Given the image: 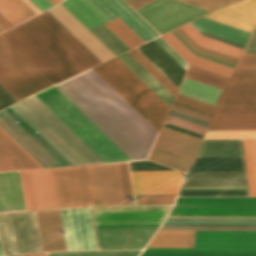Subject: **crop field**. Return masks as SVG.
<instances>
[{
	"mask_svg": "<svg viewBox=\"0 0 256 256\" xmlns=\"http://www.w3.org/2000/svg\"><path fill=\"white\" fill-rule=\"evenodd\" d=\"M54 84L101 61L47 11L2 33ZM0 34V85L17 101L54 85Z\"/></svg>",
	"mask_w": 256,
	"mask_h": 256,
	"instance_id": "1",
	"label": "crop field"
},
{
	"mask_svg": "<svg viewBox=\"0 0 256 256\" xmlns=\"http://www.w3.org/2000/svg\"><path fill=\"white\" fill-rule=\"evenodd\" d=\"M55 88L132 161L148 158L159 132L93 69Z\"/></svg>",
	"mask_w": 256,
	"mask_h": 256,
	"instance_id": "2",
	"label": "crop field"
},
{
	"mask_svg": "<svg viewBox=\"0 0 256 256\" xmlns=\"http://www.w3.org/2000/svg\"><path fill=\"white\" fill-rule=\"evenodd\" d=\"M0 126L43 167L104 163L34 96L0 111Z\"/></svg>",
	"mask_w": 256,
	"mask_h": 256,
	"instance_id": "3",
	"label": "crop field"
},
{
	"mask_svg": "<svg viewBox=\"0 0 256 256\" xmlns=\"http://www.w3.org/2000/svg\"><path fill=\"white\" fill-rule=\"evenodd\" d=\"M19 173L26 211L99 205L92 165Z\"/></svg>",
	"mask_w": 256,
	"mask_h": 256,
	"instance_id": "4",
	"label": "crop field"
},
{
	"mask_svg": "<svg viewBox=\"0 0 256 256\" xmlns=\"http://www.w3.org/2000/svg\"><path fill=\"white\" fill-rule=\"evenodd\" d=\"M256 129V70H235L221 93L207 130Z\"/></svg>",
	"mask_w": 256,
	"mask_h": 256,
	"instance_id": "5",
	"label": "crop field"
},
{
	"mask_svg": "<svg viewBox=\"0 0 256 256\" xmlns=\"http://www.w3.org/2000/svg\"><path fill=\"white\" fill-rule=\"evenodd\" d=\"M93 69L160 131L170 107L117 57Z\"/></svg>",
	"mask_w": 256,
	"mask_h": 256,
	"instance_id": "6",
	"label": "crop field"
},
{
	"mask_svg": "<svg viewBox=\"0 0 256 256\" xmlns=\"http://www.w3.org/2000/svg\"><path fill=\"white\" fill-rule=\"evenodd\" d=\"M35 97L105 163L131 161L54 87Z\"/></svg>",
	"mask_w": 256,
	"mask_h": 256,
	"instance_id": "7",
	"label": "crop field"
},
{
	"mask_svg": "<svg viewBox=\"0 0 256 256\" xmlns=\"http://www.w3.org/2000/svg\"><path fill=\"white\" fill-rule=\"evenodd\" d=\"M139 256H256V231H194L193 248H144Z\"/></svg>",
	"mask_w": 256,
	"mask_h": 256,
	"instance_id": "8",
	"label": "crop field"
},
{
	"mask_svg": "<svg viewBox=\"0 0 256 256\" xmlns=\"http://www.w3.org/2000/svg\"><path fill=\"white\" fill-rule=\"evenodd\" d=\"M60 4L88 30L108 22V20L87 0H65ZM60 4L47 11L102 62L114 57V55L106 47H104Z\"/></svg>",
	"mask_w": 256,
	"mask_h": 256,
	"instance_id": "9",
	"label": "crop field"
},
{
	"mask_svg": "<svg viewBox=\"0 0 256 256\" xmlns=\"http://www.w3.org/2000/svg\"><path fill=\"white\" fill-rule=\"evenodd\" d=\"M0 243L3 255L42 252L35 212L1 214Z\"/></svg>",
	"mask_w": 256,
	"mask_h": 256,
	"instance_id": "10",
	"label": "crop field"
},
{
	"mask_svg": "<svg viewBox=\"0 0 256 256\" xmlns=\"http://www.w3.org/2000/svg\"><path fill=\"white\" fill-rule=\"evenodd\" d=\"M135 11L160 35L208 12L176 0H156Z\"/></svg>",
	"mask_w": 256,
	"mask_h": 256,
	"instance_id": "11",
	"label": "crop field"
},
{
	"mask_svg": "<svg viewBox=\"0 0 256 256\" xmlns=\"http://www.w3.org/2000/svg\"><path fill=\"white\" fill-rule=\"evenodd\" d=\"M118 165L125 205H135L127 162ZM93 167L100 205H124L117 163Z\"/></svg>",
	"mask_w": 256,
	"mask_h": 256,
	"instance_id": "12",
	"label": "crop field"
},
{
	"mask_svg": "<svg viewBox=\"0 0 256 256\" xmlns=\"http://www.w3.org/2000/svg\"><path fill=\"white\" fill-rule=\"evenodd\" d=\"M172 205L91 207L94 225L162 224Z\"/></svg>",
	"mask_w": 256,
	"mask_h": 256,
	"instance_id": "13",
	"label": "crop field"
},
{
	"mask_svg": "<svg viewBox=\"0 0 256 256\" xmlns=\"http://www.w3.org/2000/svg\"><path fill=\"white\" fill-rule=\"evenodd\" d=\"M160 225L94 226L98 250L143 249Z\"/></svg>",
	"mask_w": 256,
	"mask_h": 256,
	"instance_id": "14",
	"label": "crop field"
},
{
	"mask_svg": "<svg viewBox=\"0 0 256 256\" xmlns=\"http://www.w3.org/2000/svg\"><path fill=\"white\" fill-rule=\"evenodd\" d=\"M200 140L162 128L148 160L184 172L194 159ZM155 147L191 159V162L154 150Z\"/></svg>",
	"mask_w": 256,
	"mask_h": 256,
	"instance_id": "15",
	"label": "crop field"
},
{
	"mask_svg": "<svg viewBox=\"0 0 256 256\" xmlns=\"http://www.w3.org/2000/svg\"><path fill=\"white\" fill-rule=\"evenodd\" d=\"M59 212L66 250H96L89 207Z\"/></svg>",
	"mask_w": 256,
	"mask_h": 256,
	"instance_id": "16",
	"label": "crop field"
},
{
	"mask_svg": "<svg viewBox=\"0 0 256 256\" xmlns=\"http://www.w3.org/2000/svg\"><path fill=\"white\" fill-rule=\"evenodd\" d=\"M160 230H256V219L166 218Z\"/></svg>",
	"mask_w": 256,
	"mask_h": 256,
	"instance_id": "17",
	"label": "crop field"
},
{
	"mask_svg": "<svg viewBox=\"0 0 256 256\" xmlns=\"http://www.w3.org/2000/svg\"><path fill=\"white\" fill-rule=\"evenodd\" d=\"M109 21L119 17L145 42L159 36L123 0H88Z\"/></svg>",
	"mask_w": 256,
	"mask_h": 256,
	"instance_id": "18",
	"label": "crop field"
},
{
	"mask_svg": "<svg viewBox=\"0 0 256 256\" xmlns=\"http://www.w3.org/2000/svg\"><path fill=\"white\" fill-rule=\"evenodd\" d=\"M134 194L176 193L183 173L178 171L130 172Z\"/></svg>",
	"mask_w": 256,
	"mask_h": 256,
	"instance_id": "19",
	"label": "crop field"
},
{
	"mask_svg": "<svg viewBox=\"0 0 256 256\" xmlns=\"http://www.w3.org/2000/svg\"><path fill=\"white\" fill-rule=\"evenodd\" d=\"M204 17L250 32L253 25H256V0H242L214 10Z\"/></svg>",
	"mask_w": 256,
	"mask_h": 256,
	"instance_id": "20",
	"label": "crop field"
},
{
	"mask_svg": "<svg viewBox=\"0 0 256 256\" xmlns=\"http://www.w3.org/2000/svg\"><path fill=\"white\" fill-rule=\"evenodd\" d=\"M137 49L145 57H147L167 78H169L177 87H179L186 70L180 66L163 48L152 40L137 47Z\"/></svg>",
	"mask_w": 256,
	"mask_h": 256,
	"instance_id": "21",
	"label": "crop field"
},
{
	"mask_svg": "<svg viewBox=\"0 0 256 256\" xmlns=\"http://www.w3.org/2000/svg\"><path fill=\"white\" fill-rule=\"evenodd\" d=\"M181 186H248L245 171L187 172Z\"/></svg>",
	"mask_w": 256,
	"mask_h": 256,
	"instance_id": "22",
	"label": "crop field"
},
{
	"mask_svg": "<svg viewBox=\"0 0 256 256\" xmlns=\"http://www.w3.org/2000/svg\"><path fill=\"white\" fill-rule=\"evenodd\" d=\"M0 130L12 142H14L30 159H32L40 168H42V166L38 162H36L24 149H22L10 136H8L1 128ZM1 131L0 171L39 168Z\"/></svg>",
	"mask_w": 256,
	"mask_h": 256,
	"instance_id": "23",
	"label": "crop field"
},
{
	"mask_svg": "<svg viewBox=\"0 0 256 256\" xmlns=\"http://www.w3.org/2000/svg\"><path fill=\"white\" fill-rule=\"evenodd\" d=\"M42 250H65L58 210L36 212Z\"/></svg>",
	"mask_w": 256,
	"mask_h": 256,
	"instance_id": "24",
	"label": "crop field"
},
{
	"mask_svg": "<svg viewBox=\"0 0 256 256\" xmlns=\"http://www.w3.org/2000/svg\"><path fill=\"white\" fill-rule=\"evenodd\" d=\"M14 204V205H9ZM25 211L18 171L0 172V213Z\"/></svg>",
	"mask_w": 256,
	"mask_h": 256,
	"instance_id": "25",
	"label": "crop field"
},
{
	"mask_svg": "<svg viewBox=\"0 0 256 256\" xmlns=\"http://www.w3.org/2000/svg\"><path fill=\"white\" fill-rule=\"evenodd\" d=\"M168 217L256 218V208H172Z\"/></svg>",
	"mask_w": 256,
	"mask_h": 256,
	"instance_id": "26",
	"label": "crop field"
},
{
	"mask_svg": "<svg viewBox=\"0 0 256 256\" xmlns=\"http://www.w3.org/2000/svg\"><path fill=\"white\" fill-rule=\"evenodd\" d=\"M168 43L182 58L190 65L210 71L212 73L229 78L233 68L215 63L213 61L193 55L183 44H181L170 32L160 36Z\"/></svg>",
	"mask_w": 256,
	"mask_h": 256,
	"instance_id": "27",
	"label": "crop field"
},
{
	"mask_svg": "<svg viewBox=\"0 0 256 256\" xmlns=\"http://www.w3.org/2000/svg\"><path fill=\"white\" fill-rule=\"evenodd\" d=\"M173 207H256V198H241V197L177 198Z\"/></svg>",
	"mask_w": 256,
	"mask_h": 256,
	"instance_id": "28",
	"label": "crop field"
},
{
	"mask_svg": "<svg viewBox=\"0 0 256 256\" xmlns=\"http://www.w3.org/2000/svg\"><path fill=\"white\" fill-rule=\"evenodd\" d=\"M190 24L199 31L215 35L217 37L235 42L243 46H245L250 34L249 32L228 25H224L203 17L190 22Z\"/></svg>",
	"mask_w": 256,
	"mask_h": 256,
	"instance_id": "29",
	"label": "crop field"
},
{
	"mask_svg": "<svg viewBox=\"0 0 256 256\" xmlns=\"http://www.w3.org/2000/svg\"><path fill=\"white\" fill-rule=\"evenodd\" d=\"M220 92L221 89L185 77L177 93L214 106Z\"/></svg>",
	"mask_w": 256,
	"mask_h": 256,
	"instance_id": "30",
	"label": "crop field"
},
{
	"mask_svg": "<svg viewBox=\"0 0 256 256\" xmlns=\"http://www.w3.org/2000/svg\"><path fill=\"white\" fill-rule=\"evenodd\" d=\"M243 156L241 140L203 141L197 157Z\"/></svg>",
	"mask_w": 256,
	"mask_h": 256,
	"instance_id": "31",
	"label": "crop field"
},
{
	"mask_svg": "<svg viewBox=\"0 0 256 256\" xmlns=\"http://www.w3.org/2000/svg\"><path fill=\"white\" fill-rule=\"evenodd\" d=\"M118 58L124 64H126L142 81H144L160 98H162L169 106H171L174 97L168 91H166L152 76H150L136 61H134L127 53L118 56Z\"/></svg>",
	"mask_w": 256,
	"mask_h": 256,
	"instance_id": "32",
	"label": "crop field"
},
{
	"mask_svg": "<svg viewBox=\"0 0 256 256\" xmlns=\"http://www.w3.org/2000/svg\"><path fill=\"white\" fill-rule=\"evenodd\" d=\"M192 238L193 231H158L146 247H192Z\"/></svg>",
	"mask_w": 256,
	"mask_h": 256,
	"instance_id": "33",
	"label": "crop field"
},
{
	"mask_svg": "<svg viewBox=\"0 0 256 256\" xmlns=\"http://www.w3.org/2000/svg\"><path fill=\"white\" fill-rule=\"evenodd\" d=\"M198 45L239 58L242 49L202 36L189 23L180 27Z\"/></svg>",
	"mask_w": 256,
	"mask_h": 256,
	"instance_id": "34",
	"label": "crop field"
},
{
	"mask_svg": "<svg viewBox=\"0 0 256 256\" xmlns=\"http://www.w3.org/2000/svg\"><path fill=\"white\" fill-rule=\"evenodd\" d=\"M0 13L14 26L36 15L21 0H0Z\"/></svg>",
	"mask_w": 256,
	"mask_h": 256,
	"instance_id": "35",
	"label": "crop field"
},
{
	"mask_svg": "<svg viewBox=\"0 0 256 256\" xmlns=\"http://www.w3.org/2000/svg\"><path fill=\"white\" fill-rule=\"evenodd\" d=\"M149 74H151L165 89L175 96L178 88L167 79L151 62H149L136 48L127 52Z\"/></svg>",
	"mask_w": 256,
	"mask_h": 256,
	"instance_id": "36",
	"label": "crop field"
},
{
	"mask_svg": "<svg viewBox=\"0 0 256 256\" xmlns=\"http://www.w3.org/2000/svg\"><path fill=\"white\" fill-rule=\"evenodd\" d=\"M251 196H256V140H242Z\"/></svg>",
	"mask_w": 256,
	"mask_h": 256,
	"instance_id": "37",
	"label": "crop field"
},
{
	"mask_svg": "<svg viewBox=\"0 0 256 256\" xmlns=\"http://www.w3.org/2000/svg\"><path fill=\"white\" fill-rule=\"evenodd\" d=\"M108 27L122 42H124L130 49L144 43V41L137 36L126 24L119 18L104 24Z\"/></svg>",
	"mask_w": 256,
	"mask_h": 256,
	"instance_id": "38",
	"label": "crop field"
},
{
	"mask_svg": "<svg viewBox=\"0 0 256 256\" xmlns=\"http://www.w3.org/2000/svg\"><path fill=\"white\" fill-rule=\"evenodd\" d=\"M108 28V27H107ZM104 25L94 29L99 35H101L112 47H114L119 53L128 49V47L122 43L111 31H109ZM91 31V33L101 42L103 43L114 55L118 54V52L112 48L101 36H99L95 31Z\"/></svg>",
	"mask_w": 256,
	"mask_h": 256,
	"instance_id": "39",
	"label": "crop field"
},
{
	"mask_svg": "<svg viewBox=\"0 0 256 256\" xmlns=\"http://www.w3.org/2000/svg\"><path fill=\"white\" fill-rule=\"evenodd\" d=\"M185 76L204 82L206 84L221 88V89H223L227 81V78H224V77H221V76H218V75H215L191 66L189 67Z\"/></svg>",
	"mask_w": 256,
	"mask_h": 256,
	"instance_id": "40",
	"label": "crop field"
},
{
	"mask_svg": "<svg viewBox=\"0 0 256 256\" xmlns=\"http://www.w3.org/2000/svg\"><path fill=\"white\" fill-rule=\"evenodd\" d=\"M141 250L47 253V256H137Z\"/></svg>",
	"mask_w": 256,
	"mask_h": 256,
	"instance_id": "41",
	"label": "crop field"
},
{
	"mask_svg": "<svg viewBox=\"0 0 256 256\" xmlns=\"http://www.w3.org/2000/svg\"><path fill=\"white\" fill-rule=\"evenodd\" d=\"M174 32L179 35L189 46H191L195 51L206 54L208 56L226 61L228 63L231 64H236L237 62V58L222 54V53H218L203 47L198 46L190 37H188L180 28L174 30Z\"/></svg>",
	"mask_w": 256,
	"mask_h": 256,
	"instance_id": "42",
	"label": "crop field"
},
{
	"mask_svg": "<svg viewBox=\"0 0 256 256\" xmlns=\"http://www.w3.org/2000/svg\"><path fill=\"white\" fill-rule=\"evenodd\" d=\"M204 139H256L253 131H207Z\"/></svg>",
	"mask_w": 256,
	"mask_h": 256,
	"instance_id": "43",
	"label": "crop field"
},
{
	"mask_svg": "<svg viewBox=\"0 0 256 256\" xmlns=\"http://www.w3.org/2000/svg\"><path fill=\"white\" fill-rule=\"evenodd\" d=\"M177 196H249L248 190L179 191Z\"/></svg>",
	"mask_w": 256,
	"mask_h": 256,
	"instance_id": "44",
	"label": "crop field"
},
{
	"mask_svg": "<svg viewBox=\"0 0 256 256\" xmlns=\"http://www.w3.org/2000/svg\"><path fill=\"white\" fill-rule=\"evenodd\" d=\"M176 194L134 195L136 205L172 204Z\"/></svg>",
	"mask_w": 256,
	"mask_h": 256,
	"instance_id": "45",
	"label": "crop field"
},
{
	"mask_svg": "<svg viewBox=\"0 0 256 256\" xmlns=\"http://www.w3.org/2000/svg\"><path fill=\"white\" fill-rule=\"evenodd\" d=\"M184 1V0H182ZM191 3L196 4L199 7L208 9V10H213L215 8L221 7L223 5H228L230 3H233L237 0H186Z\"/></svg>",
	"mask_w": 256,
	"mask_h": 256,
	"instance_id": "46",
	"label": "crop field"
},
{
	"mask_svg": "<svg viewBox=\"0 0 256 256\" xmlns=\"http://www.w3.org/2000/svg\"><path fill=\"white\" fill-rule=\"evenodd\" d=\"M174 100L178 101V102H181V103H184V104H187V105H190V106H193L195 108L210 112V113L212 112V110L214 108L213 106L195 101L193 99H190V98L178 95V94L176 95Z\"/></svg>",
	"mask_w": 256,
	"mask_h": 256,
	"instance_id": "47",
	"label": "crop field"
},
{
	"mask_svg": "<svg viewBox=\"0 0 256 256\" xmlns=\"http://www.w3.org/2000/svg\"><path fill=\"white\" fill-rule=\"evenodd\" d=\"M236 69H256V54H243Z\"/></svg>",
	"mask_w": 256,
	"mask_h": 256,
	"instance_id": "48",
	"label": "crop field"
},
{
	"mask_svg": "<svg viewBox=\"0 0 256 256\" xmlns=\"http://www.w3.org/2000/svg\"><path fill=\"white\" fill-rule=\"evenodd\" d=\"M154 40L161 47H163L177 62H179L185 69H187L188 64L175 51H173L160 37H158V38H156Z\"/></svg>",
	"mask_w": 256,
	"mask_h": 256,
	"instance_id": "49",
	"label": "crop field"
},
{
	"mask_svg": "<svg viewBox=\"0 0 256 256\" xmlns=\"http://www.w3.org/2000/svg\"><path fill=\"white\" fill-rule=\"evenodd\" d=\"M243 53H256V27L254 28Z\"/></svg>",
	"mask_w": 256,
	"mask_h": 256,
	"instance_id": "50",
	"label": "crop field"
},
{
	"mask_svg": "<svg viewBox=\"0 0 256 256\" xmlns=\"http://www.w3.org/2000/svg\"><path fill=\"white\" fill-rule=\"evenodd\" d=\"M171 33L180 41L182 42L193 54L195 55H198V56H201V57H204V58H207V59H210V60H213L215 62H218V63H221V64H224V65H227V66H230V67H235L234 65H231V64H228V63H225L223 61H220V60H217V59H214V58H211V57H208V56H205L203 54H200V53H197L195 52L191 47H189L179 36H177L173 31H171Z\"/></svg>",
	"mask_w": 256,
	"mask_h": 256,
	"instance_id": "51",
	"label": "crop field"
},
{
	"mask_svg": "<svg viewBox=\"0 0 256 256\" xmlns=\"http://www.w3.org/2000/svg\"><path fill=\"white\" fill-rule=\"evenodd\" d=\"M248 189V187H181L180 190Z\"/></svg>",
	"mask_w": 256,
	"mask_h": 256,
	"instance_id": "52",
	"label": "crop field"
},
{
	"mask_svg": "<svg viewBox=\"0 0 256 256\" xmlns=\"http://www.w3.org/2000/svg\"><path fill=\"white\" fill-rule=\"evenodd\" d=\"M41 11L53 6L48 0H31Z\"/></svg>",
	"mask_w": 256,
	"mask_h": 256,
	"instance_id": "53",
	"label": "crop field"
},
{
	"mask_svg": "<svg viewBox=\"0 0 256 256\" xmlns=\"http://www.w3.org/2000/svg\"><path fill=\"white\" fill-rule=\"evenodd\" d=\"M133 9H136L152 0H125Z\"/></svg>",
	"mask_w": 256,
	"mask_h": 256,
	"instance_id": "54",
	"label": "crop field"
},
{
	"mask_svg": "<svg viewBox=\"0 0 256 256\" xmlns=\"http://www.w3.org/2000/svg\"><path fill=\"white\" fill-rule=\"evenodd\" d=\"M0 25L5 29L14 27L2 14H0Z\"/></svg>",
	"mask_w": 256,
	"mask_h": 256,
	"instance_id": "55",
	"label": "crop field"
},
{
	"mask_svg": "<svg viewBox=\"0 0 256 256\" xmlns=\"http://www.w3.org/2000/svg\"><path fill=\"white\" fill-rule=\"evenodd\" d=\"M25 4H27L36 14L40 13V11L29 1L22 0Z\"/></svg>",
	"mask_w": 256,
	"mask_h": 256,
	"instance_id": "56",
	"label": "crop field"
},
{
	"mask_svg": "<svg viewBox=\"0 0 256 256\" xmlns=\"http://www.w3.org/2000/svg\"><path fill=\"white\" fill-rule=\"evenodd\" d=\"M53 5H55L56 3H58V2H61V1H63V0H49Z\"/></svg>",
	"mask_w": 256,
	"mask_h": 256,
	"instance_id": "57",
	"label": "crop field"
},
{
	"mask_svg": "<svg viewBox=\"0 0 256 256\" xmlns=\"http://www.w3.org/2000/svg\"><path fill=\"white\" fill-rule=\"evenodd\" d=\"M30 256H46V254H41V255H30Z\"/></svg>",
	"mask_w": 256,
	"mask_h": 256,
	"instance_id": "58",
	"label": "crop field"
},
{
	"mask_svg": "<svg viewBox=\"0 0 256 256\" xmlns=\"http://www.w3.org/2000/svg\"><path fill=\"white\" fill-rule=\"evenodd\" d=\"M4 31V29L0 26V32Z\"/></svg>",
	"mask_w": 256,
	"mask_h": 256,
	"instance_id": "59",
	"label": "crop field"
},
{
	"mask_svg": "<svg viewBox=\"0 0 256 256\" xmlns=\"http://www.w3.org/2000/svg\"><path fill=\"white\" fill-rule=\"evenodd\" d=\"M0 255H2V253H1V248H0Z\"/></svg>",
	"mask_w": 256,
	"mask_h": 256,
	"instance_id": "60",
	"label": "crop field"
}]
</instances>
